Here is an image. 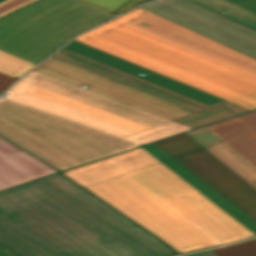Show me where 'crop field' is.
Returning <instances> with one entry per match:
<instances>
[{"label": "crop field", "instance_id": "crop-field-1", "mask_svg": "<svg viewBox=\"0 0 256 256\" xmlns=\"http://www.w3.org/2000/svg\"><path fill=\"white\" fill-rule=\"evenodd\" d=\"M172 254L60 174L0 192V256Z\"/></svg>", "mask_w": 256, "mask_h": 256}, {"label": "crop field", "instance_id": "crop-field-2", "mask_svg": "<svg viewBox=\"0 0 256 256\" xmlns=\"http://www.w3.org/2000/svg\"><path fill=\"white\" fill-rule=\"evenodd\" d=\"M75 40L250 110L256 108L255 59L140 7Z\"/></svg>", "mask_w": 256, "mask_h": 256}, {"label": "crop field", "instance_id": "crop-field-3", "mask_svg": "<svg viewBox=\"0 0 256 256\" xmlns=\"http://www.w3.org/2000/svg\"><path fill=\"white\" fill-rule=\"evenodd\" d=\"M34 71L191 128L250 111L75 40Z\"/></svg>", "mask_w": 256, "mask_h": 256}, {"label": "crop field", "instance_id": "crop-field-4", "mask_svg": "<svg viewBox=\"0 0 256 256\" xmlns=\"http://www.w3.org/2000/svg\"><path fill=\"white\" fill-rule=\"evenodd\" d=\"M90 165L201 249L255 236L142 148Z\"/></svg>", "mask_w": 256, "mask_h": 256}, {"label": "crop field", "instance_id": "crop-field-5", "mask_svg": "<svg viewBox=\"0 0 256 256\" xmlns=\"http://www.w3.org/2000/svg\"><path fill=\"white\" fill-rule=\"evenodd\" d=\"M6 93L11 94L8 98L142 144L191 129L34 71Z\"/></svg>", "mask_w": 256, "mask_h": 256}, {"label": "crop field", "instance_id": "crop-field-6", "mask_svg": "<svg viewBox=\"0 0 256 256\" xmlns=\"http://www.w3.org/2000/svg\"><path fill=\"white\" fill-rule=\"evenodd\" d=\"M0 135L59 171L142 145L4 97Z\"/></svg>", "mask_w": 256, "mask_h": 256}, {"label": "crop field", "instance_id": "crop-field-7", "mask_svg": "<svg viewBox=\"0 0 256 256\" xmlns=\"http://www.w3.org/2000/svg\"><path fill=\"white\" fill-rule=\"evenodd\" d=\"M112 16L78 0H41L0 19V49L37 64Z\"/></svg>", "mask_w": 256, "mask_h": 256}, {"label": "crop field", "instance_id": "crop-field-8", "mask_svg": "<svg viewBox=\"0 0 256 256\" xmlns=\"http://www.w3.org/2000/svg\"><path fill=\"white\" fill-rule=\"evenodd\" d=\"M154 144L256 221V191L186 133Z\"/></svg>", "mask_w": 256, "mask_h": 256}, {"label": "crop field", "instance_id": "crop-field-9", "mask_svg": "<svg viewBox=\"0 0 256 256\" xmlns=\"http://www.w3.org/2000/svg\"><path fill=\"white\" fill-rule=\"evenodd\" d=\"M256 59V32L186 0H160L140 6Z\"/></svg>", "mask_w": 256, "mask_h": 256}, {"label": "crop field", "instance_id": "crop-field-10", "mask_svg": "<svg viewBox=\"0 0 256 256\" xmlns=\"http://www.w3.org/2000/svg\"><path fill=\"white\" fill-rule=\"evenodd\" d=\"M57 173L0 137V190Z\"/></svg>", "mask_w": 256, "mask_h": 256}, {"label": "crop field", "instance_id": "crop-field-11", "mask_svg": "<svg viewBox=\"0 0 256 256\" xmlns=\"http://www.w3.org/2000/svg\"><path fill=\"white\" fill-rule=\"evenodd\" d=\"M187 134L256 190V165L229 143L207 126Z\"/></svg>", "mask_w": 256, "mask_h": 256}, {"label": "crop field", "instance_id": "crop-field-12", "mask_svg": "<svg viewBox=\"0 0 256 256\" xmlns=\"http://www.w3.org/2000/svg\"><path fill=\"white\" fill-rule=\"evenodd\" d=\"M76 169L84 174L86 177L91 179L93 182L98 184L104 190L109 192L111 195L116 197L122 203L127 205L129 208L134 210L140 216L145 218L151 224L156 226L158 229L163 231L169 237L181 244L187 250L191 251L195 249H200L188 239H186L184 236H182L180 233H178L176 230H174L172 227H170L168 224H166L164 221H162L160 218H158L156 215H154L152 212H150L148 209H146L144 206H142L140 203H138L136 200H134L132 197H130L131 195L129 196L128 194H126L127 192L125 193L124 191H122L123 189L121 190L120 188H118L119 186L117 187L116 185H114L115 183L113 184L112 182H110L111 180L109 181L107 178H105L106 176L104 177L89 164Z\"/></svg>", "mask_w": 256, "mask_h": 256}, {"label": "crop field", "instance_id": "crop-field-13", "mask_svg": "<svg viewBox=\"0 0 256 256\" xmlns=\"http://www.w3.org/2000/svg\"><path fill=\"white\" fill-rule=\"evenodd\" d=\"M208 127L256 164V110Z\"/></svg>", "mask_w": 256, "mask_h": 256}, {"label": "crop field", "instance_id": "crop-field-14", "mask_svg": "<svg viewBox=\"0 0 256 256\" xmlns=\"http://www.w3.org/2000/svg\"><path fill=\"white\" fill-rule=\"evenodd\" d=\"M147 152L152 156L158 159L161 163L183 178L186 182L208 197L211 201L229 213L232 217L250 229L256 234V222L245 215L242 211L220 196L217 192L199 180L196 176L174 161L171 157L157 148L155 145L151 144L146 147H143ZM253 233V234H254Z\"/></svg>", "mask_w": 256, "mask_h": 256}, {"label": "crop field", "instance_id": "crop-field-15", "mask_svg": "<svg viewBox=\"0 0 256 256\" xmlns=\"http://www.w3.org/2000/svg\"><path fill=\"white\" fill-rule=\"evenodd\" d=\"M256 31V0H188Z\"/></svg>", "mask_w": 256, "mask_h": 256}, {"label": "crop field", "instance_id": "crop-field-16", "mask_svg": "<svg viewBox=\"0 0 256 256\" xmlns=\"http://www.w3.org/2000/svg\"><path fill=\"white\" fill-rule=\"evenodd\" d=\"M65 175L76 181L81 186L85 187L86 189L92 191L94 194H96L98 197H100L102 200L110 203L112 206H114L116 209H118L120 212L128 216L129 218L135 220L151 232H153L155 235H157L159 238L165 240L170 246H172L177 252L179 253H185L188 252L185 248H183L181 245L176 243L174 240L169 238L167 235H165L163 232L158 230L156 227L151 225L149 222H147L145 219L140 217L138 214H136L134 211L129 209L127 206L122 204L120 201H118L116 198L111 196L109 193L104 191L102 188H100L98 185L93 183L91 180L86 178L84 175L79 173L77 170L73 169L70 171L63 172ZM91 192V193H92ZM109 204V205H110Z\"/></svg>", "mask_w": 256, "mask_h": 256}, {"label": "crop field", "instance_id": "crop-field-17", "mask_svg": "<svg viewBox=\"0 0 256 256\" xmlns=\"http://www.w3.org/2000/svg\"><path fill=\"white\" fill-rule=\"evenodd\" d=\"M32 1L34 0H4L0 2V16ZM33 66L35 64L0 50V72L19 78Z\"/></svg>", "mask_w": 256, "mask_h": 256}, {"label": "crop field", "instance_id": "crop-field-18", "mask_svg": "<svg viewBox=\"0 0 256 256\" xmlns=\"http://www.w3.org/2000/svg\"><path fill=\"white\" fill-rule=\"evenodd\" d=\"M104 11L117 15L140 3L150 0H80Z\"/></svg>", "mask_w": 256, "mask_h": 256}, {"label": "crop field", "instance_id": "crop-field-19", "mask_svg": "<svg viewBox=\"0 0 256 256\" xmlns=\"http://www.w3.org/2000/svg\"><path fill=\"white\" fill-rule=\"evenodd\" d=\"M219 256H256V238L237 244L228 246L227 248L214 249Z\"/></svg>", "mask_w": 256, "mask_h": 256}, {"label": "crop field", "instance_id": "crop-field-20", "mask_svg": "<svg viewBox=\"0 0 256 256\" xmlns=\"http://www.w3.org/2000/svg\"><path fill=\"white\" fill-rule=\"evenodd\" d=\"M16 78L0 73V93H2Z\"/></svg>", "mask_w": 256, "mask_h": 256}, {"label": "crop field", "instance_id": "crop-field-21", "mask_svg": "<svg viewBox=\"0 0 256 256\" xmlns=\"http://www.w3.org/2000/svg\"><path fill=\"white\" fill-rule=\"evenodd\" d=\"M182 256H217V255L214 252H212L211 250H208V251L192 253V254H187V255H182Z\"/></svg>", "mask_w": 256, "mask_h": 256}, {"label": "crop field", "instance_id": "crop-field-22", "mask_svg": "<svg viewBox=\"0 0 256 256\" xmlns=\"http://www.w3.org/2000/svg\"><path fill=\"white\" fill-rule=\"evenodd\" d=\"M0 1H2V0H0Z\"/></svg>", "mask_w": 256, "mask_h": 256}]
</instances>
